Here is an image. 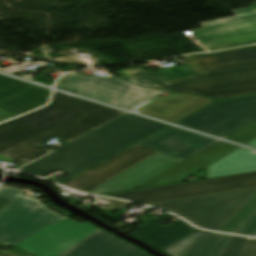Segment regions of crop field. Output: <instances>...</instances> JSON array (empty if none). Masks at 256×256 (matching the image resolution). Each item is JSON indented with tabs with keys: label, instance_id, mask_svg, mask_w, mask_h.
<instances>
[{
	"label": "crop field",
	"instance_id": "obj_1",
	"mask_svg": "<svg viewBox=\"0 0 256 256\" xmlns=\"http://www.w3.org/2000/svg\"><path fill=\"white\" fill-rule=\"evenodd\" d=\"M121 114L55 92L49 106L0 124V154L25 165L51 151L38 146L46 140L71 142Z\"/></svg>",
	"mask_w": 256,
	"mask_h": 256
},
{
	"label": "crop field",
	"instance_id": "obj_2",
	"mask_svg": "<svg viewBox=\"0 0 256 256\" xmlns=\"http://www.w3.org/2000/svg\"><path fill=\"white\" fill-rule=\"evenodd\" d=\"M167 125L125 114L19 170L44 177L58 169L63 182Z\"/></svg>",
	"mask_w": 256,
	"mask_h": 256
},
{
	"label": "crop field",
	"instance_id": "obj_3",
	"mask_svg": "<svg viewBox=\"0 0 256 256\" xmlns=\"http://www.w3.org/2000/svg\"><path fill=\"white\" fill-rule=\"evenodd\" d=\"M183 58L199 74L147 88L213 100L256 94V45Z\"/></svg>",
	"mask_w": 256,
	"mask_h": 256
},
{
	"label": "crop field",
	"instance_id": "obj_4",
	"mask_svg": "<svg viewBox=\"0 0 256 256\" xmlns=\"http://www.w3.org/2000/svg\"><path fill=\"white\" fill-rule=\"evenodd\" d=\"M254 197H256V188H251L150 204V206L175 213L200 228L220 231Z\"/></svg>",
	"mask_w": 256,
	"mask_h": 256
},
{
	"label": "crop field",
	"instance_id": "obj_5",
	"mask_svg": "<svg viewBox=\"0 0 256 256\" xmlns=\"http://www.w3.org/2000/svg\"><path fill=\"white\" fill-rule=\"evenodd\" d=\"M18 188L2 186L0 196L13 200L0 211V244L16 245L39 230L65 219Z\"/></svg>",
	"mask_w": 256,
	"mask_h": 256
},
{
	"label": "crop field",
	"instance_id": "obj_6",
	"mask_svg": "<svg viewBox=\"0 0 256 256\" xmlns=\"http://www.w3.org/2000/svg\"><path fill=\"white\" fill-rule=\"evenodd\" d=\"M56 87L129 110L162 93L142 89L111 75L98 78L76 72L60 78Z\"/></svg>",
	"mask_w": 256,
	"mask_h": 256
},
{
	"label": "crop field",
	"instance_id": "obj_7",
	"mask_svg": "<svg viewBox=\"0 0 256 256\" xmlns=\"http://www.w3.org/2000/svg\"><path fill=\"white\" fill-rule=\"evenodd\" d=\"M251 121L256 122V96L216 102L177 124L223 138Z\"/></svg>",
	"mask_w": 256,
	"mask_h": 256
},
{
	"label": "crop field",
	"instance_id": "obj_8",
	"mask_svg": "<svg viewBox=\"0 0 256 256\" xmlns=\"http://www.w3.org/2000/svg\"><path fill=\"white\" fill-rule=\"evenodd\" d=\"M251 187H256V172L212 178L183 185L156 187L147 190L110 195L109 197L149 204Z\"/></svg>",
	"mask_w": 256,
	"mask_h": 256
},
{
	"label": "crop field",
	"instance_id": "obj_9",
	"mask_svg": "<svg viewBox=\"0 0 256 256\" xmlns=\"http://www.w3.org/2000/svg\"><path fill=\"white\" fill-rule=\"evenodd\" d=\"M95 229L89 223L80 224L68 218L39 231L17 245L37 256H58Z\"/></svg>",
	"mask_w": 256,
	"mask_h": 256
},
{
	"label": "crop field",
	"instance_id": "obj_10",
	"mask_svg": "<svg viewBox=\"0 0 256 256\" xmlns=\"http://www.w3.org/2000/svg\"><path fill=\"white\" fill-rule=\"evenodd\" d=\"M157 152L138 144L63 185L88 193Z\"/></svg>",
	"mask_w": 256,
	"mask_h": 256
},
{
	"label": "crop field",
	"instance_id": "obj_11",
	"mask_svg": "<svg viewBox=\"0 0 256 256\" xmlns=\"http://www.w3.org/2000/svg\"><path fill=\"white\" fill-rule=\"evenodd\" d=\"M197 43L209 51L256 43V18L193 30Z\"/></svg>",
	"mask_w": 256,
	"mask_h": 256
},
{
	"label": "crop field",
	"instance_id": "obj_12",
	"mask_svg": "<svg viewBox=\"0 0 256 256\" xmlns=\"http://www.w3.org/2000/svg\"><path fill=\"white\" fill-rule=\"evenodd\" d=\"M50 90L0 76V107L18 116L47 104Z\"/></svg>",
	"mask_w": 256,
	"mask_h": 256
},
{
	"label": "crop field",
	"instance_id": "obj_13",
	"mask_svg": "<svg viewBox=\"0 0 256 256\" xmlns=\"http://www.w3.org/2000/svg\"><path fill=\"white\" fill-rule=\"evenodd\" d=\"M181 161L159 152L90 193L100 195L136 188Z\"/></svg>",
	"mask_w": 256,
	"mask_h": 256
},
{
	"label": "crop field",
	"instance_id": "obj_14",
	"mask_svg": "<svg viewBox=\"0 0 256 256\" xmlns=\"http://www.w3.org/2000/svg\"><path fill=\"white\" fill-rule=\"evenodd\" d=\"M214 142L216 140L170 126L140 144L184 160Z\"/></svg>",
	"mask_w": 256,
	"mask_h": 256
},
{
	"label": "crop field",
	"instance_id": "obj_15",
	"mask_svg": "<svg viewBox=\"0 0 256 256\" xmlns=\"http://www.w3.org/2000/svg\"><path fill=\"white\" fill-rule=\"evenodd\" d=\"M240 147L218 141L171 169L151 179L141 187L179 182L230 154Z\"/></svg>",
	"mask_w": 256,
	"mask_h": 256
},
{
	"label": "crop field",
	"instance_id": "obj_16",
	"mask_svg": "<svg viewBox=\"0 0 256 256\" xmlns=\"http://www.w3.org/2000/svg\"><path fill=\"white\" fill-rule=\"evenodd\" d=\"M59 256H149L136 247L99 229Z\"/></svg>",
	"mask_w": 256,
	"mask_h": 256
},
{
	"label": "crop field",
	"instance_id": "obj_17",
	"mask_svg": "<svg viewBox=\"0 0 256 256\" xmlns=\"http://www.w3.org/2000/svg\"><path fill=\"white\" fill-rule=\"evenodd\" d=\"M211 102L213 101L171 94L165 98L158 96L133 111L174 123Z\"/></svg>",
	"mask_w": 256,
	"mask_h": 256
},
{
	"label": "crop field",
	"instance_id": "obj_18",
	"mask_svg": "<svg viewBox=\"0 0 256 256\" xmlns=\"http://www.w3.org/2000/svg\"><path fill=\"white\" fill-rule=\"evenodd\" d=\"M229 235L197 230L162 250L171 256H217Z\"/></svg>",
	"mask_w": 256,
	"mask_h": 256
},
{
	"label": "crop field",
	"instance_id": "obj_19",
	"mask_svg": "<svg viewBox=\"0 0 256 256\" xmlns=\"http://www.w3.org/2000/svg\"><path fill=\"white\" fill-rule=\"evenodd\" d=\"M174 219L175 216L167 213L145 226L131 232V234L146 239L153 246L164 249L184 236L190 234L191 232L197 230L192 226L186 224L183 220L179 219L172 223V225L165 227L158 224L165 219Z\"/></svg>",
	"mask_w": 256,
	"mask_h": 256
},
{
	"label": "crop field",
	"instance_id": "obj_20",
	"mask_svg": "<svg viewBox=\"0 0 256 256\" xmlns=\"http://www.w3.org/2000/svg\"><path fill=\"white\" fill-rule=\"evenodd\" d=\"M253 171H256V152L240 148L208 166L207 178Z\"/></svg>",
	"mask_w": 256,
	"mask_h": 256
},
{
	"label": "crop field",
	"instance_id": "obj_21",
	"mask_svg": "<svg viewBox=\"0 0 256 256\" xmlns=\"http://www.w3.org/2000/svg\"><path fill=\"white\" fill-rule=\"evenodd\" d=\"M117 73L128 81L147 87L184 76L196 74L197 72L188 63H186L184 65L159 72L148 73L143 68L139 67L118 71Z\"/></svg>",
	"mask_w": 256,
	"mask_h": 256
},
{
	"label": "crop field",
	"instance_id": "obj_22",
	"mask_svg": "<svg viewBox=\"0 0 256 256\" xmlns=\"http://www.w3.org/2000/svg\"><path fill=\"white\" fill-rule=\"evenodd\" d=\"M221 231L245 236H256V198Z\"/></svg>",
	"mask_w": 256,
	"mask_h": 256
},
{
	"label": "crop field",
	"instance_id": "obj_23",
	"mask_svg": "<svg viewBox=\"0 0 256 256\" xmlns=\"http://www.w3.org/2000/svg\"><path fill=\"white\" fill-rule=\"evenodd\" d=\"M218 256H256V239L231 236Z\"/></svg>",
	"mask_w": 256,
	"mask_h": 256
},
{
	"label": "crop field",
	"instance_id": "obj_24",
	"mask_svg": "<svg viewBox=\"0 0 256 256\" xmlns=\"http://www.w3.org/2000/svg\"><path fill=\"white\" fill-rule=\"evenodd\" d=\"M232 12L234 13V15L236 17L219 19V20H214V21H209V22H203V23H200V25L202 26V28H205V27H210V26H215V25H219V24H224V23H229V22H234V21H239V20L256 17V6L251 5L250 7L246 8V9L234 10Z\"/></svg>",
	"mask_w": 256,
	"mask_h": 256
},
{
	"label": "crop field",
	"instance_id": "obj_25",
	"mask_svg": "<svg viewBox=\"0 0 256 256\" xmlns=\"http://www.w3.org/2000/svg\"><path fill=\"white\" fill-rule=\"evenodd\" d=\"M254 138H256V123L251 122L234 133L228 135L224 139L245 144Z\"/></svg>",
	"mask_w": 256,
	"mask_h": 256
},
{
	"label": "crop field",
	"instance_id": "obj_26",
	"mask_svg": "<svg viewBox=\"0 0 256 256\" xmlns=\"http://www.w3.org/2000/svg\"><path fill=\"white\" fill-rule=\"evenodd\" d=\"M102 199H104L108 202H111V204L105 210L100 208V210H102V211L113 210V209H116V208L119 209V208H123V207H126V206L131 204V203L115 201V200L107 199V198H102Z\"/></svg>",
	"mask_w": 256,
	"mask_h": 256
},
{
	"label": "crop field",
	"instance_id": "obj_27",
	"mask_svg": "<svg viewBox=\"0 0 256 256\" xmlns=\"http://www.w3.org/2000/svg\"><path fill=\"white\" fill-rule=\"evenodd\" d=\"M12 117H15V116L3 110L2 108H0V122Z\"/></svg>",
	"mask_w": 256,
	"mask_h": 256
},
{
	"label": "crop field",
	"instance_id": "obj_28",
	"mask_svg": "<svg viewBox=\"0 0 256 256\" xmlns=\"http://www.w3.org/2000/svg\"><path fill=\"white\" fill-rule=\"evenodd\" d=\"M11 200L0 197V210L5 207Z\"/></svg>",
	"mask_w": 256,
	"mask_h": 256
},
{
	"label": "crop field",
	"instance_id": "obj_29",
	"mask_svg": "<svg viewBox=\"0 0 256 256\" xmlns=\"http://www.w3.org/2000/svg\"><path fill=\"white\" fill-rule=\"evenodd\" d=\"M32 64H35L37 66H41L43 68L45 67H48L46 64H48L47 62H36V63H31V64H27V65H23V66H20V67H24V66H28V65H32Z\"/></svg>",
	"mask_w": 256,
	"mask_h": 256
},
{
	"label": "crop field",
	"instance_id": "obj_30",
	"mask_svg": "<svg viewBox=\"0 0 256 256\" xmlns=\"http://www.w3.org/2000/svg\"><path fill=\"white\" fill-rule=\"evenodd\" d=\"M18 70H21V69H19V68H14V69H9V70H3L2 72L11 74V73L16 72V71H18Z\"/></svg>",
	"mask_w": 256,
	"mask_h": 256
},
{
	"label": "crop field",
	"instance_id": "obj_31",
	"mask_svg": "<svg viewBox=\"0 0 256 256\" xmlns=\"http://www.w3.org/2000/svg\"><path fill=\"white\" fill-rule=\"evenodd\" d=\"M246 145L256 147V139L252 140L251 142L247 143Z\"/></svg>",
	"mask_w": 256,
	"mask_h": 256
},
{
	"label": "crop field",
	"instance_id": "obj_32",
	"mask_svg": "<svg viewBox=\"0 0 256 256\" xmlns=\"http://www.w3.org/2000/svg\"><path fill=\"white\" fill-rule=\"evenodd\" d=\"M13 75V74H12ZM23 78H26V79H30V80H33L34 78H32V77H29V76H27V75H25V76H22Z\"/></svg>",
	"mask_w": 256,
	"mask_h": 256
},
{
	"label": "crop field",
	"instance_id": "obj_33",
	"mask_svg": "<svg viewBox=\"0 0 256 256\" xmlns=\"http://www.w3.org/2000/svg\"><path fill=\"white\" fill-rule=\"evenodd\" d=\"M1 169V168H0Z\"/></svg>",
	"mask_w": 256,
	"mask_h": 256
}]
</instances>
